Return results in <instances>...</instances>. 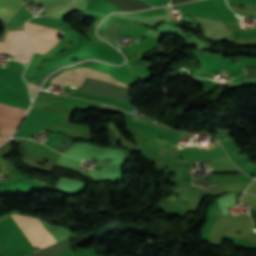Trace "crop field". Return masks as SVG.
Wrapping results in <instances>:
<instances>
[{
	"instance_id": "8a807250",
	"label": "crop field",
	"mask_w": 256,
	"mask_h": 256,
	"mask_svg": "<svg viewBox=\"0 0 256 256\" xmlns=\"http://www.w3.org/2000/svg\"><path fill=\"white\" fill-rule=\"evenodd\" d=\"M132 125L141 137L169 148L176 146L183 135L181 133L168 131L169 129L166 130L134 115L132 116ZM151 128L154 129V131L152 130L153 132L150 131ZM160 134L163 135V139H159Z\"/></svg>"
},
{
	"instance_id": "ac0d7876",
	"label": "crop field",
	"mask_w": 256,
	"mask_h": 256,
	"mask_svg": "<svg viewBox=\"0 0 256 256\" xmlns=\"http://www.w3.org/2000/svg\"><path fill=\"white\" fill-rule=\"evenodd\" d=\"M63 74H69V75H74V76H81V77H89L105 82H109L112 84H116L122 87H126L127 85H124L120 82H118L116 79H114L112 76L106 73L98 72L95 70H91L88 68L80 67L72 70H66L62 72ZM59 74L55 77H53L50 81V83L53 84H58V85H70V86H81L84 78L81 77H74V76H69V75H63Z\"/></svg>"
},
{
	"instance_id": "34b2d1b8",
	"label": "crop field",
	"mask_w": 256,
	"mask_h": 256,
	"mask_svg": "<svg viewBox=\"0 0 256 256\" xmlns=\"http://www.w3.org/2000/svg\"><path fill=\"white\" fill-rule=\"evenodd\" d=\"M31 48L25 30L9 31L3 42H0V53L14 55L15 60L28 62Z\"/></svg>"
},
{
	"instance_id": "412701ff",
	"label": "crop field",
	"mask_w": 256,
	"mask_h": 256,
	"mask_svg": "<svg viewBox=\"0 0 256 256\" xmlns=\"http://www.w3.org/2000/svg\"><path fill=\"white\" fill-rule=\"evenodd\" d=\"M0 246L35 251L11 218L0 222Z\"/></svg>"
},
{
	"instance_id": "f4fd0767",
	"label": "crop field",
	"mask_w": 256,
	"mask_h": 256,
	"mask_svg": "<svg viewBox=\"0 0 256 256\" xmlns=\"http://www.w3.org/2000/svg\"><path fill=\"white\" fill-rule=\"evenodd\" d=\"M9 68H0V81L7 84L14 92L28 96L27 86L22 79L24 65L8 60Z\"/></svg>"
},
{
	"instance_id": "dd49c442",
	"label": "crop field",
	"mask_w": 256,
	"mask_h": 256,
	"mask_svg": "<svg viewBox=\"0 0 256 256\" xmlns=\"http://www.w3.org/2000/svg\"><path fill=\"white\" fill-rule=\"evenodd\" d=\"M24 112V109L0 104V132L3 137H9Z\"/></svg>"
},
{
	"instance_id": "e52e79f7",
	"label": "crop field",
	"mask_w": 256,
	"mask_h": 256,
	"mask_svg": "<svg viewBox=\"0 0 256 256\" xmlns=\"http://www.w3.org/2000/svg\"><path fill=\"white\" fill-rule=\"evenodd\" d=\"M28 35H29L30 39L43 41V42H47V43L56 44L58 41V39H56V38H52V37H48V36H44V35H40V34H36V33H32V32H28ZM38 41H33V42L53 46L52 44L42 43V42H38ZM33 42H31V44H32L34 52L45 53L46 51H48L52 48L50 46L41 45V44H37V43H33Z\"/></svg>"
},
{
	"instance_id": "d8731c3e",
	"label": "crop field",
	"mask_w": 256,
	"mask_h": 256,
	"mask_svg": "<svg viewBox=\"0 0 256 256\" xmlns=\"http://www.w3.org/2000/svg\"><path fill=\"white\" fill-rule=\"evenodd\" d=\"M98 152V149L75 144L70 150L66 151L64 154L90 160L95 157Z\"/></svg>"
},
{
	"instance_id": "5a996713",
	"label": "crop field",
	"mask_w": 256,
	"mask_h": 256,
	"mask_svg": "<svg viewBox=\"0 0 256 256\" xmlns=\"http://www.w3.org/2000/svg\"><path fill=\"white\" fill-rule=\"evenodd\" d=\"M234 193L217 199L222 214L228 215V207L233 203Z\"/></svg>"
},
{
	"instance_id": "3316defc",
	"label": "crop field",
	"mask_w": 256,
	"mask_h": 256,
	"mask_svg": "<svg viewBox=\"0 0 256 256\" xmlns=\"http://www.w3.org/2000/svg\"><path fill=\"white\" fill-rule=\"evenodd\" d=\"M58 163H62V164H66V165H70V166H74V167H80L81 162L75 160L74 158H70V157H66L61 155V157L58 159L57 161Z\"/></svg>"
},
{
	"instance_id": "28ad6ade",
	"label": "crop field",
	"mask_w": 256,
	"mask_h": 256,
	"mask_svg": "<svg viewBox=\"0 0 256 256\" xmlns=\"http://www.w3.org/2000/svg\"><path fill=\"white\" fill-rule=\"evenodd\" d=\"M164 12H165L164 8H155V9L146 10V11H143V12H136V13H132V14H137V15H140L142 17L148 18V17H151L153 15L164 13Z\"/></svg>"
},
{
	"instance_id": "d1516ede",
	"label": "crop field",
	"mask_w": 256,
	"mask_h": 256,
	"mask_svg": "<svg viewBox=\"0 0 256 256\" xmlns=\"http://www.w3.org/2000/svg\"><path fill=\"white\" fill-rule=\"evenodd\" d=\"M153 6L168 4L169 0H144Z\"/></svg>"
},
{
	"instance_id": "22f410ed",
	"label": "crop field",
	"mask_w": 256,
	"mask_h": 256,
	"mask_svg": "<svg viewBox=\"0 0 256 256\" xmlns=\"http://www.w3.org/2000/svg\"><path fill=\"white\" fill-rule=\"evenodd\" d=\"M29 88H30L31 96L33 98V96L35 95V93L37 92V90L39 88V85L29 82Z\"/></svg>"
},
{
	"instance_id": "cbeb9de0",
	"label": "crop field",
	"mask_w": 256,
	"mask_h": 256,
	"mask_svg": "<svg viewBox=\"0 0 256 256\" xmlns=\"http://www.w3.org/2000/svg\"><path fill=\"white\" fill-rule=\"evenodd\" d=\"M4 141V139L0 138V142Z\"/></svg>"
},
{
	"instance_id": "5142ce71",
	"label": "crop field",
	"mask_w": 256,
	"mask_h": 256,
	"mask_svg": "<svg viewBox=\"0 0 256 256\" xmlns=\"http://www.w3.org/2000/svg\"><path fill=\"white\" fill-rule=\"evenodd\" d=\"M137 41H138V39H137ZM138 43H139V41H138Z\"/></svg>"
}]
</instances>
